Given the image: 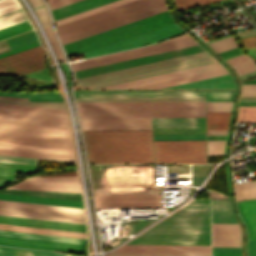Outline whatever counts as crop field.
Wrapping results in <instances>:
<instances>
[{
  "instance_id": "crop-field-1",
  "label": "crop field",
  "mask_w": 256,
  "mask_h": 256,
  "mask_svg": "<svg viewBox=\"0 0 256 256\" xmlns=\"http://www.w3.org/2000/svg\"><path fill=\"white\" fill-rule=\"evenodd\" d=\"M0 155L73 161L69 129L0 121Z\"/></svg>"
},
{
  "instance_id": "crop-field-2",
  "label": "crop field",
  "mask_w": 256,
  "mask_h": 256,
  "mask_svg": "<svg viewBox=\"0 0 256 256\" xmlns=\"http://www.w3.org/2000/svg\"><path fill=\"white\" fill-rule=\"evenodd\" d=\"M126 244L210 245L209 200L188 202Z\"/></svg>"
},
{
  "instance_id": "crop-field-3",
  "label": "crop field",
  "mask_w": 256,
  "mask_h": 256,
  "mask_svg": "<svg viewBox=\"0 0 256 256\" xmlns=\"http://www.w3.org/2000/svg\"><path fill=\"white\" fill-rule=\"evenodd\" d=\"M88 162H154L152 131H82Z\"/></svg>"
},
{
  "instance_id": "crop-field-4",
  "label": "crop field",
  "mask_w": 256,
  "mask_h": 256,
  "mask_svg": "<svg viewBox=\"0 0 256 256\" xmlns=\"http://www.w3.org/2000/svg\"><path fill=\"white\" fill-rule=\"evenodd\" d=\"M79 118L205 117L204 102L76 103Z\"/></svg>"
},
{
  "instance_id": "crop-field-5",
  "label": "crop field",
  "mask_w": 256,
  "mask_h": 256,
  "mask_svg": "<svg viewBox=\"0 0 256 256\" xmlns=\"http://www.w3.org/2000/svg\"><path fill=\"white\" fill-rule=\"evenodd\" d=\"M172 20V19H171ZM168 18L167 13L163 12L67 45H64V49L67 55L87 52L128 37L173 23Z\"/></svg>"
},
{
  "instance_id": "crop-field-6",
  "label": "crop field",
  "mask_w": 256,
  "mask_h": 256,
  "mask_svg": "<svg viewBox=\"0 0 256 256\" xmlns=\"http://www.w3.org/2000/svg\"><path fill=\"white\" fill-rule=\"evenodd\" d=\"M163 0H135L109 10L58 26L60 38H65L161 5Z\"/></svg>"
},
{
  "instance_id": "crop-field-7",
  "label": "crop field",
  "mask_w": 256,
  "mask_h": 256,
  "mask_svg": "<svg viewBox=\"0 0 256 256\" xmlns=\"http://www.w3.org/2000/svg\"><path fill=\"white\" fill-rule=\"evenodd\" d=\"M0 206H10V207H20V208L84 214L83 209H79V208H70V207H61V206H52V205H43V204H34V203H25V202H16V201H7V200H0ZM0 215L85 224L84 215H77V214L0 207Z\"/></svg>"
},
{
  "instance_id": "crop-field-8",
  "label": "crop field",
  "mask_w": 256,
  "mask_h": 256,
  "mask_svg": "<svg viewBox=\"0 0 256 256\" xmlns=\"http://www.w3.org/2000/svg\"><path fill=\"white\" fill-rule=\"evenodd\" d=\"M156 162L206 163L205 141H154Z\"/></svg>"
},
{
  "instance_id": "crop-field-9",
  "label": "crop field",
  "mask_w": 256,
  "mask_h": 256,
  "mask_svg": "<svg viewBox=\"0 0 256 256\" xmlns=\"http://www.w3.org/2000/svg\"><path fill=\"white\" fill-rule=\"evenodd\" d=\"M34 43L8 53L0 57L15 53L17 51L38 45ZM44 51L40 45L17 52L15 54L0 58V74L23 76L28 73L45 68Z\"/></svg>"
},
{
  "instance_id": "crop-field-10",
  "label": "crop field",
  "mask_w": 256,
  "mask_h": 256,
  "mask_svg": "<svg viewBox=\"0 0 256 256\" xmlns=\"http://www.w3.org/2000/svg\"><path fill=\"white\" fill-rule=\"evenodd\" d=\"M197 43L191 38H184L179 40H174L170 42H165L161 44L151 45L147 47H142L138 49H133L129 51H124L120 53L110 54L106 56H101L97 58H92L88 60L78 61L70 63L73 71L90 68L94 66L104 65L108 63H113L117 61L127 60L131 58L141 57L145 55L155 54L159 52H164L168 50L178 49L182 47L196 45Z\"/></svg>"
},
{
  "instance_id": "crop-field-11",
  "label": "crop field",
  "mask_w": 256,
  "mask_h": 256,
  "mask_svg": "<svg viewBox=\"0 0 256 256\" xmlns=\"http://www.w3.org/2000/svg\"><path fill=\"white\" fill-rule=\"evenodd\" d=\"M66 110L0 104V119L69 126Z\"/></svg>"
},
{
  "instance_id": "crop-field-12",
  "label": "crop field",
  "mask_w": 256,
  "mask_h": 256,
  "mask_svg": "<svg viewBox=\"0 0 256 256\" xmlns=\"http://www.w3.org/2000/svg\"><path fill=\"white\" fill-rule=\"evenodd\" d=\"M204 50L199 46H192L187 48H182L178 50L168 51L164 53H159L155 55L145 56L141 58L131 59L127 61L117 62L113 64H108L104 66L94 67L90 69L80 70L74 72L75 78H82L87 76H92L96 74L106 73L110 71L120 70L124 68L134 67L138 65H143L147 63L157 62L161 60L171 59L175 57L185 56L189 54L203 52Z\"/></svg>"
},
{
  "instance_id": "crop-field-13",
  "label": "crop field",
  "mask_w": 256,
  "mask_h": 256,
  "mask_svg": "<svg viewBox=\"0 0 256 256\" xmlns=\"http://www.w3.org/2000/svg\"><path fill=\"white\" fill-rule=\"evenodd\" d=\"M184 31L179 28L175 23L131 37L129 39L84 53V57H92L96 55L111 53L115 51L130 49L134 47H139L142 44H145L147 42L151 43L154 41H158L170 36H174L180 33H183Z\"/></svg>"
},
{
  "instance_id": "crop-field-14",
  "label": "crop field",
  "mask_w": 256,
  "mask_h": 256,
  "mask_svg": "<svg viewBox=\"0 0 256 256\" xmlns=\"http://www.w3.org/2000/svg\"><path fill=\"white\" fill-rule=\"evenodd\" d=\"M215 62L216 61L212 57H209V58L190 61V62H186V63L171 65V66H167V67H162V68L152 69V70L138 72V73H134V74L119 76V77H115V78L100 80V81L86 83V84H82V85H77L75 87L85 88V89H95V88H99V87L123 83V82H127V81H132V80H136V79L146 78V77L160 75V74L169 73V72H174V71H178V70H183V69H187V68L211 64V63H215Z\"/></svg>"
},
{
  "instance_id": "crop-field-15",
  "label": "crop field",
  "mask_w": 256,
  "mask_h": 256,
  "mask_svg": "<svg viewBox=\"0 0 256 256\" xmlns=\"http://www.w3.org/2000/svg\"><path fill=\"white\" fill-rule=\"evenodd\" d=\"M96 208L160 207V194L94 195Z\"/></svg>"
},
{
  "instance_id": "crop-field-16",
  "label": "crop field",
  "mask_w": 256,
  "mask_h": 256,
  "mask_svg": "<svg viewBox=\"0 0 256 256\" xmlns=\"http://www.w3.org/2000/svg\"><path fill=\"white\" fill-rule=\"evenodd\" d=\"M79 120L82 130H152L151 118Z\"/></svg>"
},
{
  "instance_id": "crop-field-17",
  "label": "crop field",
  "mask_w": 256,
  "mask_h": 256,
  "mask_svg": "<svg viewBox=\"0 0 256 256\" xmlns=\"http://www.w3.org/2000/svg\"><path fill=\"white\" fill-rule=\"evenodd\" d=\"M234 92L77 93L78 97H206V101H232Z\"/></svg>"
},
{
  "instance_id": "crop-field-18",
  "label": "crop field",
  "mask_w": 256,
  "mask_h": 256,
  "mask_svg": "<svg viewBox=\"0 0 256 256\" xmlns=\"http://www.w3.org/2000/svg\"><path fill=\"white\" fill-rule=\"evenodd\" d=\"M7 188L80 192L77 177L27 178Z\"/></svg>"
},
{
  "instance_id": "crop-field-19",
  "label": "crop field",
  "mask_w": 256,
  "mask_h": 256,
  "mask_svg": "<svg viewBox=\"0 0 256 256\" xmlns=\"http://www.w3.org/2000/svg\"><path fill=\"white\" fill-rule=\"evenodd\" d=\"M134 179H91L93 188L155 185V165H133Z\"/></svg>"
},
{
  "instance_id": "crop-field-20",
  "label": "crop field",
  "mask_w": 256,
  "mask_h": 256,
  "mask_svg": "<svg viewBox=\"0 0 256 256\" xmlns=\"http://www.w3.org/2000/svg\"><path fill=\"white\" fill-rule=\"evenodd\" d=\"M209 56L210 55H208L206 52H203V53H199V54H194V55L175 58V59H171V60L161 61V62H157V63L147 64V65H143V66H138V67H134V68L124 69V70H120V71L110 72V73L96 75V76L87 77V78H82V79L76 80L75 85L86 83V82H91V81H96V80H100V79L115 77V76H119V75L134 73V72H138V71L148 70V69H152V68L167 66V65H171V64L186 62V61H190V60L200 59V58L209 57Z\"/></svg>"
},
{
  "instance_id": "crop-field-21",
  "label": "crop field",
  "mask_w": 256,
  "mask_h": 256,
  "mask_svg": "<svg viewBox=\"0 0 256 256\" xmlns=\"http://www.w3.org/2000/svg\"><path fill=\"white\" fill-rule=\"evenodd\" d=\"M0 244L10 245V246H19V247H28V248H37V249H46V250L84 252L83 245H79V244L39 241V240L10 238V237H0Z\"/></svg>"
},
{
  "instance_id": "crop-field-22",
  "label": "crop field",
  "mask_w": 256,
  "mask_h": 256,
  "mask_svg": "<svg viewBox=\"0 0 256 256\" xmlns=\"http://www.w3.org/2000/svg\"><path fill=\"white\" fill-rule=\"evenodd\" d=\"M114 252L210 253V246L123 245Z\"/></svg>"
},
{
  "instance_id": "crop-field-23",
  "label": "crop field",
  "mask_w": 256,
  "mask_h": 256,
  "mask_svg": "<svg viewBox=\"0 0 256 256\" xmlns=\"http://www.w3.org/2000/svg\"><path fill=\"white\" fill-rule=\"evenodd\" d=\"M218 68H222V66L218 63H215L211 65L201 66L197 68L187 69L183 71H178L174 73L164 74L160 76L150 77L146 79L136 80L132 82H127V83L113 85V86L99 88V89H128L132 87H137L141 85H146L150 83H155L159 81H164L168 79H173L177 77H182V76L191 75V74L200 73V72L209 71V70L218 69Z\"/></svg>"
},
{
  "instance_id": "crop-field-24",
  "label": "crop field",
  "mask_w": 256,
  "mask_h": 256,
  "mask_svg": "<svg viewBox=\"0 0 256 256\" xmlns=\"http://www.w3.org/2000/svg\"><path fill=\"white\" fill-rule=\"evenodd\" d=\"M0 223L86 232L85 225L0 216Z\"/></svg>"
},
{
  "instance_id": "crop-field-25",
  "label": "crop field",
  "mask_w": 256,
  "mask_h": 256,
  "mask_svg": "<svg viewBox=\"0 0 256 256\" xmlns=\"http://www.w3.org/2000/svg\"><path fill=\"white\" fill-rule=\"evenodd\" d=\"M166 10H167L166 6L164 5V6H161V7H158V8H155V9H152V10H149V11H146V12H143V13H140V14H137V15H134V16H131V17H128V18H125V19H122V20H119V21H116V22H113V23H110V24L92 29V30H89V31H86V32H83V33H80V34L62 39L61 41L63 42V44H65V43H68V42H71V41H74V40H77V39H80V38H83V37H86V36H90V35H93V34H96V33H99V32H102V31H105V30H108V29H111V28H114V27H117V26H120V25H123V24H126V23H129V22L138 20V19H142V18L151 16V15L166 11Z\"/></svg>"
},
{
  "instance_id": "crop-field-26",
  "label": "crop field",
  "mask_w": 256,
  "mask_h": 256,
  "mask_svg": "<svg viewBox=\"0 0 256 256\" xmlns=\"http://www.w3.org/2000/svg\"><path fill=\"white\" fill-rule=\"evenodd\" d=\"M91 178H133L132 165L89 167Z\"/></svg>"
},
{
  "instance_id": "crop-field-27",
  "label": "crop field",
  "mask_w": 256,
  "mask_h": 256,
  "mask_svg": "<svg viewBox=\"0 0 256 256\" xmlns=\"http://www.w3.org/2000/svg\"><path fill=\"white\" fill-rule=\"evenodd\" d=\"M237 207L248 230V240L256 239V199L237 202Z\"/></svg>"
},
{
  "instance_id": "crop-field-28",
  "label": "crop field",
  "mask_w": 256,
  "mask_h": 256,
  "mask_svg": "<svg viewBox=\"0 0 256 256\" xmlns=\"http://www.w3.org/2000/svg\"><path fill=\"white\" fill-rule=\"evenodd\" d=\"M153 128L205 127V118H152Z\"/></svg>"
},
{
  "instance_id": "crop-field-29",
  "label": "crop field",
  "mask_w": 256,
  "mask_h": 256,
  "mask_svg": "<svg viewBox=\"0 0 256 256\" xmlns=\"http://www.w3.org/2000/svg\"><path fill=\"white\" fill-rule=\"evenodd\" d=\"M111 1H114V0H81L69 5L62 6L52 10L54 20L80 12V11H84V10H87Z\"/></svg>"
},
{
  "instance_id": "crop-field-30",
  "label": "crop field",
  "mask_w": 256,
  "mask_h": 256,
  "mask_svg": "<svg viewBox=\"0 0 256 256\" xmlns=\"http://www.w3.org/2000/svg\"><path fill=\"white\" fill-rule=\"evenodd\" d=\"M167 88H234L230 74Z\"/></svg>"
},
{
  "instance_id": "crop-field-31",
  "label": "crop field",
  "mask_w": 256,
  "mask_h": 256,
  "mask_svg": "<svg viewBox=\"0 0 256 256\" xmlns=\"http://www.w3.org/2000/svg\"><path fill=\"white\" fill-rule=\"evenodd\" d=\"M0 199L83 208L82 201L0 194Z\"/></svg>"
},
{
  "instance_id": "crop-field-32",
  "label": "crop field",
  "mask_w": 256,
  "mask_h": 256,
  "mask_svg": "<svg viewBox=\"0 0 256 256\" xmlns=\"http://www.w3.org/2000/svg\"><path fill=\"white\" fill-rule=\"evenodd\" d=\"M227 73L228 72L226 71V69L222 68V69H218V70H213V71H209V72H204V73H200V74H195V75H191V76H186V77H182V78H177V79H173V80H168V81L159 82V83L150 84V85L141 86V87L132 88V89L162 88V87H166V86L176 85V84H180V83L190 82V81H194V80L204 79V78L218 76V75L227 74Z\"/></svg>"
},
{
  "instance_id": "crop-field-33",
  "label": "crop field",
  "mask_w": 256,
  "mask_h": 256,
  "mask_svg": "<svg viewBox=\"0 0 256 256\" xmlns=\"http://www.w3.org/2000/svg\"><path fill=\"white\" fill-rule=\"evenodd\" d=\"M0 230H10V231L30 232V233H39V234L79 237V238L87 239L86 233L34 228V227L17 226V225H8V224H0Z\"/></svg>"
},
{
  "instance_id": "crop-field-34",
  "label": "crop field",
  "mask_w": 256,
  "mask_h": 256,
  "mask_svg": "<svg viewBox=\"0 0 256 256\" xmlns=\"http://www.w3.org/2000/svg\"><path fill=\"white\" fill-rule=\"evenodd\" d=\"M35 166L0 163V186L4 187L16 179V173L32 172Z\"/></svg>"
},
{
  "instance_id": "crop-field-35",
  "label": "crop field",
  "mask_w": 256,
  "mask_h": 256,
  "mask_svg": "<svg viewBox=\"0 0 256 256\" xmlns=\"http://www.w3.org/2000/svg\"><path fill=\"white\" fill-rule=\"evenodd\" d=\"M76 102L204 101V98H75Z\"/></svg>"
},
{
  "instance_id": "crop-field-36",
  "label": "crop field",
  "mask_w": 256,
  "mask_h": 256,
  "mask_svg": "<svg viewBox=\"0 0 256 256\" xmlns=\"http://www.w3.org/2000/svg\"><path fill=\"white\" fill-rule=\"evenodd\" d=\"M212 223H237L231 213L230 202L211 201Z\"/></svg>"
},
{
  "instance_id": "crop-field-37",
  "label": "crop field",
  "mask_w": 256,
  "mask_h": 256,
  "mask_svg": "<svg viewBox=\"0 0 256 256\" xmlns=\"http://www.w3.org/2000/svg\"><path fill=\"white\" fill-rule=\"evenodd\" d=\"M0 193L79 200L77 193L4 189Z\"/></svg>"
},
{
  "instance_id": "crop-field-38",
  "label": "crop field",
  "mask_w": 256,
  "mask_h": 256,
  "mask_svg": "<svg viewBox=\"0 0 256 256\" xmlns=\"http://www.w3.org/2000/svg\"><path fill=\"white\" fill-rule=\"evenodd\" d=\"M0 236H10V237H20V238H30V239H39V240H49V241H59V242H69V243L83 244V239H79V238L39 235V234L10 232V231H0Z\"/></svg>"
},
{
  "instance_id": "crop-field-39",
  "label": "crop field",
  "mask_w": 256,
  "mask_h": 256,
  "mask_svg": "<svg viewBox=\"0 0 256 256\" xmlns=\"http://www.w3.org/2000/svg\"><path fill=\"white\" fill-rule=\"evenodd\" d=\"M0 96L29 98V101H64L57 93L44 92H0Z\"/></svg>"
},
{
  "instance_id": "crop-field-40",
  "label": "crop field",
  "mask_w": 256,
  "mask_h": 256,
  "mask_svg": "<svg viewBox=\"0 0 256 256\" xmlns=\"http://www.w3.org/2000/svg\"><path fill=\"white\" fill-rule=\"evenodd\" d=\"M0 256H77V255L0 247Z\"/></svg>"
},
{
  "instance_id": "crop-field-41",
  "label": "crop field",
  "mask_w": 256,
  "mask_h": 256,
  "mask_svg": "<svg viewBox=\"0 0 256 256\" xmlns=\"http://www.w3.org/2000/svg\"><path fill=\"white\" fill-rule=\"evenodd\" d=\"M129 1H132V0H118V1L106 4V5H102V6H99V7H96V8H93V9H90V10H87V11H84V12L72 15V16H68V17L56 20L55 22H56V25L58 26V25H61V24H64V23H67V22H70V21H73V20H76V19L88 16V15H91V14H94V13L106 10L108 8H111V7H114V6H117V5L129 2Z\"/></svg>"
},
{
  "instance_id": "crop-field-42",
  "label": "crop field",
  "mask_w": 256,
  "mask_h": 256,
  "mask_svg": "<svg viewBox=\"0 0 256 256\" xmlns=\"http://www.w3.org/2000/svg\"><path fill=\"white\" fill-rule=\"evenodd\" d=\"M230 113H207V130H227Z\"/></svg>"
},
{
  "instance_id": "crop-field-43",
  "label": "crop field",
  "mask_w": 256,
  "mask_h": 256,
  "mask_svg": "<svg viewBox=\"0 0 256 256\" xmlns=\"http://www.w3.org/2000/svg\"><path fill=\"white\" fill-rule=\"evenodd\" d=\"M241 235L212 234V247H240Z\"/></svg>"
},
{
  "instance_id": "crop-field-44",
  "label": "crop field",
  "mask_w": 256,
  "mask_h": 256,
  "mask_svg": "<svg viewBox=\"0 0 256 256\" xmlns=\"http://www.w3.org/2000/svg\"><path fill=\"white\" fill-rule=\"evenodd\" d=\"M95 194L160 193V188L94 189Z\"/></svg>"
},
{
  "instance_id": "crop-field-45",
  "label": "crop field",
  "mask_w": 256,
  "mask_h": 256,
  "mask_svg": "<svg viewBox=\"0 0 256 256\" xmlns=\"http://www.w3.org/2000/svg\"><path fill=\"white\" fill-rule=\"evenodd\" d=\"M28 20L0 29V40L31 30Z\"/></svg>"
},
{
  "instance_id": "crop-field-46",
  "label": "crop field",
  "mask_w": 256,
  "mask_h": 256,
  "mask_svg": "<svg viewBox=\"0 0 256 256\" xmlns=\"http://www.w3.org/2000/svg\"><path fill=\"white\" fill-rule=\"evenodd\" d=\"M26 19L27 18L21 8L2 14L0 15V28L15 24Z\"/></svg>"
},
{
  "instance_id": "crop-field-47",
  "label": "crop field",
  "mask_w": 256,
  "mask_h": 256,
  "mask_svg": "<svg viewBox=\"0 0 256 256\" xmlns=\"http://www.w3.org/2000/svg\"><path fill=\"white\" fill-rule=\"evenodd\" d=\"M37 38L34 32H29L23 35H19L10 39H7V42L11 48V50L37 42Z\"/></svg>"
},
{
  "instance_id": "crop-field-48",
  "label": "crop field",
  "mask_w": 256,
  "mask_h": 256,
  "mask_svg": "<svg viewBox=\"0 0 256 256\" xmlns=\"http://www.w3.org/2000/svg\"><path fill=\"white\" fill-rule=\"evenodd\" d=\"M209 45L217 52H222L234 47H237V44L233 38V36H228L226 38L214 41L212 43H209Z\"/></svg>"
},
{
  "instance_id": "crop-field-49",
  "label": "crop field",
  "mask_w": 256,
  "mask_h": 256,
  "mask_svg": "<svg viewBox=\"0 0 256 256\" xmlns=\"http://www.w3.org/2000/svg\"><path fill=\"white\" fill-rule=\"evenodd\" d=\"M237 122H256V107H239Z\"/></svg>"
},
{
  "instance_id": "crop-field-50",
  "label": "crop field",
  "mask_w": 256,
  "mask_h": 256,
  "mask_svg": "<svg viewBox=\"0 0 256 256\" xmlns=\"http://www.w3.org/2000/svg\"><path fill=\"white\" fill-rule=\"evenodd\" d=\"M212 233L241 234L238 224H212Z\"/></svg>"
},
{
  "instance_id": "crop-field-51",
  "label": "crop field",
  "mask_w": 256,
  "mask_h": 256,
  "mask_svg": "<svg viewBox=\"0 0 256 256\" xmlns=\"http://www.w3.org/2000/svg\"><path fill=\"white\" fill-rule=\"evenodd\" d=\"M0 103L65 109L63 103H35L9 100H0Z\"/></svg>"
},
{
  "instance_id": "crop-field-52",
  "label": "crop field",
  "mask_w": 256,
  "mask_h": 256,
  "mask_svg": "<svg viewBox=\"0 0 256 256\" xmlns=\"http://www.w3.org/2000/svg\"><path fill=\"white\" fill-rule=\"evenodd\" d=\"M107 256H210V254L110 253Z\"/></svg>"
},
{
  "instance_id": "crop-field-53",
  "label": "crop field",
  "mask_w": 256,
  "mask_h": 256,
  "mask_svg": "<svg viewBox=\"0 0 256 256\" xmlns=\"http://www.w3.org/2000/svg\"><path fill=\"white\" fill-rule=\"evenodd\" d=\"M154 140H205V135H154Z\"/></svg>"
},
{
  "instance_id": "crop-field-54",
  "label": "crop field",
  "mask_w": 256,
  "mask_h": 256,
  "mask_svg": "<svg viewBox=\"0 0 256 256\" xmlns=\"http://www.w3.org/2000/svg\"><path fill=\"white\" fill-rule=\"evenodd\" d=\"M232 102H206L207 112H230Z\"/></svg>"
},
{
  "instance_id": "crop-field-55",
  "label": "crop field",
  "mask_w": 256,
  "mask_h": 256,
  "mask_svg": "<svg viewBox=\"0 0 256 256\" xmlns=\"http://www.w3.org/2000/svg\"><path fill=\"white\" fill-rule=\"evenodd\" d=\"M213 1L217 0H174L178 11Z\"/></svg>"
},
{
  "instance_id": "crop-field-56",
  "label": "crop field",
  "mask_w": 256,
  "mask_h": 256,
  "mask_svg": "<svg viewBox=\"0 0 256 256\" xmlns=\"http://www.w3.org/2000/svg\"><path fill=\"white\" fill-rule=\"evenodd\" d=\"M239 76L255 71L256 66L252 59L232 65Z\"/></svg>"
},
{
  "instance_id": "crop-field-57",
  "label": "crop field",
  "mask_w": 256,
  "mask_h": 256,
  "mask_svg": "<svg viewBox=\"0 0 256 256\" xmlns=\"http://www.w3.org/2000/svg\"><path fill=\"white\" fill-rule=\"evenodd\" d=\"M225 141H207L208 155H223Z\"/></svg>"
},
{
  "instance_id": "crop-field-58",
  "label": "crop field",
  "mask_w": 256,
  "mask_h": 256,
  "mask_svg": "<svg viewBox=\"0 0 256 256\" xmlns=\"http://www.w3.org/2000/svg\"><path fill=\"white\" fill-rule=\"evenodd\" d=\"M212 256H241L240 248H212Z\"/></svg>"
},
{
  "instance_id": "crop-field-59",
  "label": "crop field",
  "mask_w": 256,
  "mask_h": 256,
  "mask_svg": "<svg viewBox=\"0 0 256 256\" xmlns=\"http://www.w3.org/2000/svg\"><path fill=\"white\" fill-rule=\"evenodd\" d=\"M19 7L16 0H0V14Z\"/></svg>"
},
{
  "instance_id": "crop-field-60",
  "label": "crop field",
  "mask_w": 256,
  "mask_h": 256,
  "mask_svg": "<svg viewBox=\"0 0 256 256\" xmlns=\"http://www.w3.org/2000/svg\"><path fill=\"white\" fill-rule=\"evenodd\" d=\"M237 200L256 198V188L235 191Z\"/></svg>"
},
{
  "instance_id": "crop-field-61",
  "label": "crop field",
  "mask_w": 256,
  "mask_h": 256,
  "mask_svg": "<svg viewBox=\"0 0 256 256\" xmlns=\"http://www.w3.org/2000/svg\"><path fill=\"white\" fill-rule=\"evenodd\" d=\"M44 30H45V32H46V34H47V36H48V38H49V40L51 42V44H52L56 54H57V57H58L59 61L60 62L64 61L62 56H61V54H60V51L58 49L57 43L55 41V38H54V36L52 34V31H51L50 27H47Z\"/></svg>"
},
{
  "instance_id": "crop-field-62",
  "label": "crop field",
  "mask_w": 256,
  "mask_h": 256,
  "mask_svg": "<svg viewBox=\"0 0 256 256\" xmlns=\"http://www.w3.org/2000/svg\"><path fill=\"white\" fill-rule=\"evenodd\" d=\"M34 11H35L41 25L43 26V28L48 26L49 23H48V19H47L44 7L35 9Z\"/></svg>"
},
{
  "instance_id": "crop-field-63",
  "label": "crop field",
  "mask_w": 256,
  "mask_h": 256,
  "mask_svg": "<svg viewBox=\"0 0 256 256\" xmlns=\"http://www.w3.org/2000/svg\"><path fill=\"white\" fill-rule=\"evenodd\" d=\"M0 161L35 165L36 160L0 157Z\"/></svg>"
},
{
  "instance_id": "crop-field-64",
  "label": "crop field",
  "mask_w": 256,
  "mask_h": 256,
  "mask_svg": "<svg viewBox=\"0 0 256 256\" xmlns=\"http://www.w3.org/2000/svg\"><path fill=\"white\" fill-rule=\"evenodd\" d=\"M241 96H256V85H242Z\"/></svg>"
},
{
  "instance_id": "crop-field-65",
  "label": "crop field",
  "mask_w": 256,
  "mask_h": 256,
  "mask_svg": "<svg viewBox=\"0 0 256 256\" xmlns=\"http://www.w3.org/2000/svg\"><path fill=\"white\" fill-rule=\"evenodd\" d=\"M212 166H192L193 175H207Z\"/></svg>"
},
{
  "instance_id": "crop-field-66",
  "label": "crop field",
  "mask_w": 256,
  "mask_h": 256,
  "mask_svg": "<svg viewBox=\"0 0 256 256\" xmlns=\"http://www.w3.org/2000/svg\"><path fill=\"white\" fill-rule=\"evenodd\" d=\"M188 173V166L168 165V173Z\"/></svg>"
},
{
  "instance_id": "crop-field-67",
  "label": "crop field",
  "mask_w": 256,
  "mask_h": 256,
  "mask_svg": "<svg viewBox=\"0 0 256 256\" xmlns=\"http://www.w3.org/2000/svg\"><path fill=\"white\" fill-rule=\"evenodd\" d=\"M75 1H78V0H56V1L50 2L49 4H50V8L53 9V8H56L68 3H72Z\"/></svg>"
},
{
  "instance_id": "crop-field-68",
  "label": "crop field",
  "mask_w": 256,
  "mask_h": 256,
  "mask_svg": "<svg viewBox=\"0 0 256 256\" xmlns=\"http://www.w3.org/2000/svg\"><path fill=\"white\" fill-rule=\"evenodd\" d=\"M256 187V181L235 184V190Z\"/></svg>"
},
{
  "instance_id": "crop-field-69",
  "label": "crop field",
  "mask_w": 256,
  "mask_h": 256,
  "mask_svg": "<svg viewBox=\"0 0 256 256\" xmlns=\"http://www.w3.org/2000/svg\"><path fill=\"white\" fill-rule=\"evenodd\" d=\"M249 256H256V240L248 241Z\"/></svg>"
},
{
  "instance_id": "crop-field-70",
  "label": "crop field",
  "mask_w": 256,
  "mask_h": 256,
  "mask_svg": "<svg viewBox=\"0 0 256 256\" xmlns=\"http://www.w3.org/2000/svg\"><path fill=\"white\" fill-rule=\"evenodd\" d=\"M28 1H29V3L31 4V6H32L33 8L39 7V6H42V5H43L40 0H28Z\"/></svg>"
},
{
  "instance_id": "crop-field-71",
  "label": "crop field",
  "mask_w": 256,
  "mask_h": 256,
  "mask_svg": "<svg viewBox=\"0 0 256 256\" xmlns=\"http://www.w3.org/2000/svg\"><path fill=\"white\" fill-rule=\"evenodd\" d=\"M227 131H207V135H226Z\"/></svg>"
},
{
  "instance_id": "crop-field-72",
  "label": "crop field",
  "mask_w": 256,
  "mask_h": 256,
  "mask_svg": "<svg viewBox=\"0 0 256 256\" xmlns=\"http://www.w3.org/2000/svg\"><path fill=\"white\" fill-rule=\"evenodd\" d=\"M256 76V71L255 72H252L250 74H247V75H244V76H241V80L243 79H247V78H251V77H255Z\"/></svg>"
},
{
  "instance_id": "crop-field-73",
  "label": "crop field",
  "mask_w": 256,
  "mask_h": 256,
  "mask_svg": "<svg viewBox=\"0 0 256 256\" xmlns=\"http://www.w3.org/2000/svg\"><path fill=\"white\" fill-rule=\"evenodd\" d=\"M3 99H13V100H23V101H28V99H22V98H9V97H0Z\"/></svg>"
},
{
  "instance_id": "crop-field-74",
  "label": "crop field",
  "mask_w": 256,
  "mask_h": 256,
  "mask_svg": "<svg viewBox=\"0 0 256 256\" xmlns=\"http://www.w3.org/2000/svg\"><path fill=\"white\" fill-rule=\"evenodd\" d=\"M183 37H188V35L184 34V35H181V36H178V37H175V38H171V39H168V40H165V41L174 40V39L183 38ZM162 42H164V41H162Z\"/></svg>"
},
{
  "instance_id": "crop-field-75",
  "label": "crop field",
  "mask_w": 256,
  "mask_h": 256,
  "mask_svg": "<svg viewBox=\"0 0 256 256\" xmlns=\"http://www.w3.org/2000/svg\"><path fill=\"white\" fill-rule=\"evenodd\" d=\"M7 51H9L7 46L3 47V48H0V54L4 53V52H7Z\"/></svg>"
},
{
  "instance_id": "crop-field-76",
  "label": "crop field",
  "mask_w": 256,
  "mask_h": 256,
  "mask_svg": "<svg viewBox=\"0 0 256 256\" xmlns=\"http://www.w3.org/2000/svg\"><path fill=\"white\" fill-rule=\"evenodd\" d=\"M242 84H256V80L248 81V82H243Z\"/></svg>"
},
{
  "instance_id": "crop-field-77",
  "label": "crop field",
  "mask_w": 256,
  "mask_h": 256,
  "mask_svg": "<svg viewBox=\"0 0 256 256\" xmlns=\"http://www.w3.org/2000/svg\"><path fill=\"white\" fill-rule=\"evenodd\" d=\"M240 102H256V100H240Z\"/></svg>"
},
{
  "instance_id": "crop-field-78",
  "label": "crop field",
  "mask_w": 256,
  "mask_h": 256,
  "mask_svg": "<svg viewBox=\"0 0 256 256\" xmlns=\"http://www.w3.org/2000/svg\"><path fill=\"white\" fill-rule=\"evenodd\" d=\"M231 35V34H230ZM228 36V35H227ZM224 37H226V36H224ZM221 38H223V37H221ZM218 39H220V38H218ZM217 40V39H216ZM214 41V40H213ZM210 42H212V41H210ZM207 43H209V42H207Z\"/></svg>"
},
{
  "instance_id": "crop-field-79",
  "label": "crop field",
  "mask_w": 256,
  "mask_h": 256,
  "mask_svg": "<svg viewBox=\"0 0 256 256\" xmlns=\"http://www.w3.org/2000/svg\"><path fill=\"white\" fill-rule=\"evenodd\" d=\"M48 2H50V1H53V0H47Z\"/></svg>"
},
{
  "instance_id": "crop-field-80",
  "label": "crop field",
  "mask_w": 256,
  "mask_h": 256,
  "mask_svg": "<svg viewBox=\"0 0 256 256\" xmlns=\"http://www.w3.org/2000/svg\"><path fill=\"white\" fill-rule=\"evenodd\" d=\"M255 60H256V58H255Z\"/></svg>"
}]
</instances>
